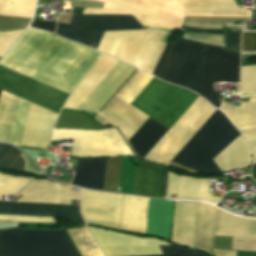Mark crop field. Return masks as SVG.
<instances>
[{
	"label": "crop field",
	"mask_w": 256,
	"mask_h": 256,
	"mask_svg": "<svg viewBox=\"0 0 256 256\" xmlns=\"http://www.w3.org/2000/svg\"><path fill=\"white\" fill-rule=\"evenodd\" d=\"M103 56L50 33L28 28L0 65L70 94Z\"/></svg>",
	"instance_id": "8a807250"
},
{
	"label": "crop field",
	"mask_w": 256,
	"mask_h": 256,
	"mask_svg": "<svg viewBox=\"0 0 256 256\" xmlns=\"http://www.w3.org/2000/svg\"><path fill=\"white\" fill-rule=\"evenodd\" d=\"M214 110L199 96L145 159L167 164ZM239 135L230 121L216 109L171 162L203 175L220 173L212 159Z\"/></svg>",
	"instance_id": "ac0d7876"
},
{
	"label": "crop field",
	"mask_w": 256,
	"mask_h": 256,
	"mask_svg": "<svg viewBox=\"0 0 256 256\" xmlns=\"http://www.w3.org/2000/svg\"><path fill=\"white\" fill-rule=\"evenodd\" d=\"M202 48V43L185 39L167 44L152 75L197 92ZM239 61V53L204 44L198 94L219 108L213 83L239 82Z\"/></svg>",
	"instance_id": "34b2d1b8"
},
{
	"label": "crop field",
	"mask_w": 256,
	"mask_h": 256,
	"mask_svg": "<svg viewBox=\"0 0 256 256\" xmlns=\"http://www.w3.org/2000/svg\"><path fill=\"white\" fill-rule=\"evenodd\" d=\"M30 181L31 178L28 177L0 173V200L2 195H16ZM71 188L66 185L35 180L20 193L23 194V197L16 202L70 204L71 200H81L83 195L82 189H80V192H77L71 190ZM0 213L59 217L63 220L84 224L78 213V207L72 205L0 201Z\"/></svg>",
	"instance_id": "412701ff"
},
{
	"label": "crop field",
	"mask_w": 256,
	"mask_h": 256,
	"mask_svg": "<svg viewBox=\"0 0 256 256\" xmlns=\"http://www.w3.org/2000/svg\"><path fill=\"white\" fill-rule=\"evenodd\" d=\"M164 33L149 30L106 32L98 50L152 73L166 43Z\"/></svg>",
	"instance_id": "f4fd0767"
},
{
	"label": "crop field",
	"mask_w": 256,
	"mask_h": 256,
	"mask_svg": "<svg viewBox=\"0 0 256 256\" xmlns=\"http://www.w3.org/2000/svg\"><path fill=\"white\" fill-rule=\"evenodd\" d=\"M0 256H79L64 231L0 232Z\"/></svg>",
	"instance_id": "dd49c442"
},
{
	"label": "crop field",
	"mask_w": 256,
	"mask_h": 256,
	"mask_svg": "<svg viewBox=\"0 0 256 256\" xmlns=\"http://www.w3.org/2000/svg\"><path fill=\"white\" fill-rule=\"evenodd\" d=\"M189 91L154 77L131 105L170 128L197 97Z\"/></svg>",
	"instance_id": "e52e79f7"
},
{
	"label": "crop field",
	"mask_w": 256,
	"mask_h": 256,
	"mask_svg": "<svg viewBox=\"0 0 256 256\" xmlns=\"http://www.w3.org/2000/svg\"><path fill=\"white\" fill-rule=\"evenodd\" d=\"M147 198L124 195L120 229L144 233L148 208ZM173 201H149L145 233L169 239Z\"/></svg>",
	"instance_id": "d8731c3e"
},
{
	"label": "crop field",
	"mask_w": 256,
	"mask_h": 256,
	"mask_svg": "<svg viewBox=\"0 0 256 256\" xmlns=\"http://www.w3.org/2000/svg\"><path fill=\"white\" fill-rule=\"evenodd\" d=\"M73 139L71 155L79 157H109L133 155L118 130L100 131L54 129L52 140Z\"/></svg>",
	"instance_id": "5a996713"
},
{
	"label": "crop field",
	"mask_w": 256,
	"mask_h": 256,
	"mask_svg": "<svg viewBox=\"0 0 256 256\" xmlns=\"http://www.w3.org/2000/svg\"><path fill=\"white\" fill-rule=\"evenodd\" d=\"M144 29L131 16L72 14L70 24L58 23L56 34L97 48L105 31Z\"/></svg>",
	"instance_id": "3316defc"
},
{
	"label": "crop field",
	"mask_w": 256,
	"mask_h": 256,
	"mask_svg": "<svg viewBox=\"0 0 256 256\" xmlns=\"http://www.w3.org/2000/svg\"><path fill=\"white\" fill-rule=\"evenodd\" d=\"M105 256H142L162 254L158 245L169 244L158 239L139 238L87 226Z\"/></svg>",
	"instance_id": "28ad6ade"
},
{
	"label": "crop field",
	"mask_w": 256,
	"mask_h": 256,
	"mask_svg": "<svg viewBox=\"0 0 256 256\" xmlns=\"http://www.w3.org/2000/svg\"><path fill=\"white\" fill-rule=\"evenodd\" d=\"M84 14H129L134 16L142 26L165 27L172 29H180L184 20L183 18L118 0H105L103 9H86ZM142 15L145 17L142 18Z\"/></svg>",
	"instance_id": "d1516ede"
},
{
	"label": "crop field",
	"mask_w": 256,
	"mask_h": 256,
	"mask_svg": "<svg viewBox=\"0 0 256 256\" xmlns=\"http://www.w3.org/2000/svg\"><path fill=\"white\" fill-rule=\"evenodd\" d=\"M20 98L11 95L2 90L0 95V142H8L13 128L15 117L20 104ZM30 102L21 100L19 111L16 117L14 128L11 134L10 142L19 145Z\"/></svg>",
	"instance_id": "22f410ed"
},
{
	"label": "crop field",
	"mask_w": 256,
	"mask_h": 256,
	"mask_svg": "<svg viewBox=\"0 0 256 256\" xmlns=\"http://www.w3.org/2000/svg\"><path fill=\"white\" fill-rule=\"evenodd\" d=\"M123 195L85 190L81 212L85 220L119 224Z\"/></svg>",
	"instance_id": "cbeb9de0"
},
{
	"label": "crop field",
	"mask_w": 256,
	"mask_h": 256,
	"mask_svg": "<svg viewBox=\"0 0 256 256\" xmlns=\"http://www.w3.org/2000/svg\"><path fill=\"white\" fill-rule=\"evenodd\" d=\"M57 115L32 103L20 146L47 149L52 125Z\"/></svg>",
	"instance_id": "5142ce71"
},
{
	"label": "crop field",
	"mask_w": 256,
	"mask_h": 256,
	"mask_svg": "<svg viewBox=\"0 0 256 256\" xmlns=\"http://www.w3.org/2000/svg\"><path fill=\"white\" fill-rule=\"evenodd\" d=\"M135 70L119 62L79 109L99 112Z\"/></svg>",
	"instance_id": "d9b57169"
},
{
	"label": "crop field",
	"mask_w": 256,
	"mask_h": 256,
	"mask_svg": "<svg viewBox=\"0 0 256 256\" xmlns=\"http://www.w3.org/2000/svg\"><path fill=\"white\" fill-rule=\"evenodd\" d=\"M184 16L249 18L233 0H179Z\"/></svg>",
	"instance_id": "733c2abd"
},
{
	"label": "crop field",
	"mask_w": 256,
	"mask_h": 256,
	"mask_svg": "<svg viewBox=\"0 0 256 256\" xmlns=\"http://www.w3.org/2000/svg\"><path fill=\"white\" fill-rule=\"evenodd\" d=\"M166 185L167 167L140 162L136 170L133 194L164 198Z\"/></svg>",
	"instance_id": "4a817a6b"
},
{
	"label": "crop field",
	"mask_w": 256,
	"mask_h": 256,
	"mask_svg": "<svg viewBox=\"0 0 256 256\" xmlns=\"http://www.w3.org/2000/svg\"><path fill=\"white\" fill-rule=\"evenodd\" d=\"M197 206L198 202L176 201L171 237L172 243L193 248Z\"/></svg>",
	"instance_id": "bc2a9ffb"
},
{
	"label": "crop field",
	"mask_w": 256,
	"mask_h": 256,
	"mask_svg": "<svg viewBox=\"0 0 256 256\" xmlns=\"http://www.w3.org/2000/svg\"><path fill=\"white\" fill-rule=\"evenodd\" d=\"M101 114L117 124L127 141L148 118L117 96Z\"/></svg>",
	"instance_id": "214f88e0"
},
{
	"label": "crop field",
	"mask_w": 256,
	"mask_h": 256,
	"mask_svg": "<svg viewBox=\"0 0 256 256\" xmlns=\"http://www.w3.org/2000/svg\"><path fill=\"white\" fill-rule=\"evenodd\" d=\"M118 62L116 59L105 55L69 95L63 107L78 109Z\"/></svg>",
	"instance_id": "92a150f3"
},
{
	"label": "crop field",
	"mask_w": 256,
	"mask_h": 256,
	"mask_svg": "<svg viewBox=\"0 0 256 256\" xmlns=\"http://www.w3.org/2000/svg\"><path fill=\"white\" fill-rule=\"evenodd\" d=\"M215 235L256 237V219L235 217L218 209Z\"/></svg>",
	"instance_id": "dafd665d"
},
{
	"label": "crop field",
	"mask_w": 256,
	"mask_h": 256,
	"mask_svg": "<svg viewBox=\"0 0 256 256\" xmlns=\"http://www.w3.org/2000/svg\"><path fill=\"white\" fill-rule=\"evenodd\" d=\"M213 160L221 171L243 168L251 164V151L240 135Z\"/></svg>",
	"instance_id": "00972430"
},
{
	"label": "crop field",
	"mask_w": 256,
	"mask_h": 256,
	"mask_svg": "<svg viewBox=\"0 0 256 256\" xmlns=\"http://www.w3.org/2000/svg\"><path fill=\"white\" fill-rule=\"evenodd\" d=\"M215 207L199 202L194 248L212 256Z\"/></svg>",
	"instance_id": "a9b5d70f"
},
{
	"label": "crop field",
	"mask_w": 256,
	"mask_h": 256,
	"mask_svg": "<svg viewBox=\"0 0 256 256\" xmlns=\"http://www.w3.org/2000/svg\"><path fill=\"white\" fill-rule=\"evenodd\" d=\"M167 130V128L148 118L128 142L137 155L144 158Z\"/></svg>",
	"instance_id": "4177f3b9"
},
{
	"label": "crop field",
	"mask_w": 256,
	"mask_h": 256,
	"mask_svg": "<svg viewBox=\"0 0 256 256\" xmlns=\"http://www.w3.org/2000/svg\"><path fill=\"white\" fill-rule=\"evenodd\" d=\"M106 160H79L71 184L102 190Z\"/></svg>",
	"instance_id": "730fd06b"
},
{
	"label": "crop field",
	"mask_w": 256,
	"mask_h": 256,
	"mask_svg": "<svg viewBox=\"0 0 256 256\" xmlns=\"http://www.w3.org/2000/svg\"><path fill=\"white\" fill-rule=\"evenodd\" d=\"M221 111L236 127L256 125V103L241 102V107H235L223 102Z\"/></svg>",
	"instance_id": "eef30255"
},
{
	"label": "crop field",
	"mask_w": 256,
	"mask_h": 256,
	"mask_svg": "<svg viewBox=\"0 0 256 256\" xmlns=\"http://www.w3.org/2000/svg\"><path fill=\"white\" fill-rule=\"evenodd\" d=\"M184 26H192V27H203V28H216V29H223L224 23H201L197 21L187 20L185 19L183 22ZM182 29H186L188 32L194 33H204V34H223V30H216V29H202V28H191V27H184ZM185 32L184 34L190 35L189 38L192 39H199V40H206V41H213V42H224L223 35H204V34H194Z\"/></svg>",
	"instance_id": "ae1a2a85"
},
{
	"label": "crop field",
	"mask_w": 256,
	"mask_h": 256,
	"mask_svg": "<svg viewBox=\"0 0 256 256\" xmlns=\"http://www.w3.org/2000/svg\"><path fill=\"white\" fill-rule=\"evenodd\" d=\"M81 256H103L87 228L67 230Z\"/></svg>",
	"instance_id": "d3111659"
},
{
	"label": "crop field",
	"mask_w": 256,
	"mask_h": 256,
	"mask_svg": "<svg viewBox=\"0 0 256 256\" xmlns=\"http://www.w3.org/2000/svg\"><path fill=\"white\" fill-rule=\"evenodd\" d=\"M35 3L36 0H0V14L31 18Z\"/></svg>",
	"instance_id": "750c4746"
},
{
	"label": "crop field",
	"mask_w": 256,
	"mask_h": 256,
	"mask_svg": "<svg viewBox=\"0 0 256 256\" xmlns=\"http://www.w3.org/2000/svg\"><path fill=\"white\" fill-rule=\"evenodd\" d=\"M146 73L138 71L117 96L124 99L128 103H131L153 78V76Z\"/></svg>",
	"instance_id": "bd1437ed"
},
{
	"label": "crop field",
	"mask_w": 256,
	"mask_h": 256,
	"mask_svg": "<svg viewBox=\"0 0 256 256\" xmlns=\"http://www.w3.org/2000/svg\"><path fill=\"white\" fill-rule=\"evenodd\" d=\"M25 161L12 146L0 144V167L7 170L23 171Z\"/></svg>",
	"instance_id": "1d83c4d3"
},
{
	"label": "crop field",
	"mask_w": 256,
	"mask_h": 256,
	"mask_svg": "<svg viewBox=\"0 0 256 256\" xmlns=\"http://www.w3.org/2000/svg\"><path fill=\"white\" fill-rule=\"evenodd\" d=\"M179 17H183L178 0H123ZM184 18V17H183Z\"/></svg>",
	"instance_id": "120bbe31"
},
{
	"label": "crop field",
	"mask_w": 256,
	"mask_h": 256,
	"mask_svg": "<svg viewBox=\"0 0 256 256\" xmlns=\"http://www.w3.org/2000/svg\"><path fill=\"white\" fill-rule=\"evenodd\" d=\"M120 162L121 158L107 159L103 190L117 192Z\"/></svg>",
	"instance_id": "d32e631a"
},
{
	"label": "crop field",
	"mask_w": 256,
	"mask_h": 256,
	"mask_svg": "<svg viewBox=\"0 0 256 256\" xmlns=\"http://www.w3.org/2000/svg\"><path fill=\"white\" fill-rule=\"evenodd\" d=\"M241 89L244 94L256 93V65L241 67Z\"/></svg>",
	"instance_id": "5866460e"
},
{
	"label": "crop field",
	"mask_w": 256,
	"mask_h": 256,
	"mask_svg": "<svg viewBox=\"0 0 256 256\" xmlns=\"http://www.w3.org/2000/svg\"><path fill=\"white\" fill-rule=\"evenodd\" d=\"M209 182L207 178H195L192 199H203L216 204L219 197L212 196V192H208Z\"/></svg>",
	"instance_id": "028f5c9d"
},
{
	"label": "crop field",
	"mask_w": 256,
	"mask_h": 256,
	"mask_svg": "<svg viewBox=\"0 0 256 256\" xmlns=\"http://www.w3.org/2000/svg\"><path fill=\"white\" fill-rule=\"evenodd\" d=\"M194 178L180 175L177 198L191 199L193 191Z\"/></svg>",
	"instance_id": "e1f06a70"
},
{
	"label": "crop field",
	"mask_w": 256,
	"mask_h": 256,
	"mask_svg": "<svg viewBox=\"0 0 256 256\" xmlns=\"http://www.w3.org/2000/svg\"><path fill=\"white\" fill-rule=\"evenodd\" d=\"M164 255L156 256H205L199 252L190 251L185 248H178L173 245L160 246Z\"/></svg>",
	"instance_id": "0bd39190"
},
{
	"label": "crop field",
	"mask_w": 256,
	"mask_h": 256,
	"mask_svg": "<svg viewBox=\"0 0 256 256\" xmlns=\"http://www.w3.org/2000/svg\"><path fill=\"white\" fill-rule=\"evenodd\" d=\"M231 249L243 251H256V238L233 237Z\"/></svg>",
	"instance_id": "b80d0937"
},
{
	"label": "crop field",
	"mask_w": 256,
	"mask_h": 256,
	"mask_svg": "<svg viewBox=\"0 0 256 256\" xmlns=\"http://www.w3.org/2000/svg\"><path fill=\"white\" fill-rule=\"evenodd\" d=\"M22 31L23 30L0 33V56L5 53L7 48Z\"/></svg>",
	"instance_id": "c035e120"
},
{
	"label": "crop field",
	"mask_w": 256,
	"mask_h": 256,
	"mask_svg": "<svg viewBox=\"0 0 256 256\" xmlns=\"http://www.w3.org/2000/svg\"><path fill=\"white\" fill-rule=\"evenodd\" d=\"M0 220H14V221H25V222L55 223L54 219H52V218L24 217V216H13V215H2V214H0Z\"/></svg>",
	"instance_id": "c21b1889"
},
{
	"label": "crop field",
	"mask_w": 256,
	"mask_h": 256,
	"mask_svg": "<svg viewBox=\"0 0 256 256\" xmlns=\"http://www.w3.org/2000/svg\"><path fill=\"white\" fill-rule=\"evenodd\" d=\"M242 50H256V33L242 34Z\"/></svg>",
	"instance_id": "03da06ac"
},
{
	"label": "crop field",
	"mask_w": 256,
	"mask_h": 256,
	"mask_svg": "<svg viewBox=\"0 0 256 256\" xmlns=\"http://www.w3.org/2000/svg\"><path fill=\"white\" fill-rule=\"evenodd\" d=\"M226 46L240 51V33H226Z\"/></svg>",
	"instance_id": "b54c1fbb"
},
{
	"label": "crop field",
	"mask_w": 256,
	"mask_h": 256,
	"mask_svg": "<svg viewBox=\"0 0 256 256\" xmlns=\"http://www.w3.org/2000/svg\"><path fill=\"white\" fill-rule=\"evenodd\" d=\"M178 178H179L178 174L169 172V185H168L167 198H171V194H176Z\"/></svg>",
	"instance_id": "5d738f31"
},
{
	"label": "crop field",
	"mask_w": 256,
	"mask_h": 256,
	"mask_svg": "<svg viewBox=\"0 0 256 256\" xmlns=\"http://www.w3.org/2000/svg\"><path fill=\"white\" fill-rule=\"evenodd\" d=\"M55 24H56V22L34 20L31 24V26L39 28V29L54 32Z\"/></svg>",
	"instance_id": "d23c7cc5"
},
{
	"label": "crop field",
	"mask_w": 256,
	"mask_h": 256,
	"mask_svg": "<svg viewBox=\"0 0 256 256\" xmlns=\"http://www.w3.org/2000/svg\"><path fill=\"white\" fill-rule=\"evenodd\" d=\"M21 156L26 161L25 164V170H29L35 173L43 174L42 171L39 169V167L36 165L34 161H32L30 158H28L26 155L21 154Z\"/></svg>",
	"instance_id": "425ffa30"
},
{
	"label": "crop field",
	"mask_w": 256,
	"mask_h": 256,
	"mask_svg": "<svg viewBox=\"0 0 256 256\" xmlns=\"http://www.w3.org/2000/svg\"><path fill=\"white\" fill-rule=\"evenodd\" d=\"M238 130L244 135L245 139L256 137V126L240 127Z\"/></svg>",
	"instance_id": "25e5ab78"
},
{
	"label": "crop field",
	"mask_w": 256,
	"mask_h": 256,
	"mask_svg": "<svg viewBox=\"0 0 256 256\" xmlns=\"http://www.w3.org/2000/svg\"><path fill=\"white\" fill-rule=\"evenodd\" d=\"M86 223L89 224V225H93V226L116 229V230L119 231V225H115V224L98 223V222H90V221H86Z\"/></svg>",
	"instance_id": "73cf0c24"
},
{
	"label": "crop field",
	"mask_w": 256,
	"mask_h": 256,
	"mask_svg": "<svg viewBox=\"0 0 256 256\" xmlns=\"http://www.w3.org/2000/svg\"><path fill=\"white\" fill-rule=\"evenodd\" d=\"M216 256H236V251L214 250Z\"/></svg>",
	"instance_id": "89e229c0"
},
{
	"label": "crop field",
	"mask_w": 256,
	"mask_h": 256,
	"mask_svg": "<svg viewBox=\"0 0 256 256\" xmlns=\"http://www.w3.org/2000/svg\"><path fill=\"white\" fill-rule=\"evenodd\" d=\"M247 143L249 144V146L251 147L252 151H253V155H254V160L253 163L256 162V138L255 139H249L246 140Z\"/></svg>",
	"instance_id": "1f2cbd36"
},
{
	"label": "crop field",
	"mask_w": 256,
	"mask_h": 256,
	"mask_svg": "<svg viewBox=\"0 0 256 256\" xmlns=\"http://www.w3.org/2000/svg\"><path fill=\"white\" fill-rule=\"evenodd\" d=\"M98 115V114H97ZM95 118V120H98V121H100L104 126L105 125H107V124H112V123H110L109 121H107V120H105L104 118H102L101 116H96V117H94ZM113 125V124H112ZM113 127H116L115 125H113Z\"/></svg>",
	"instance_id": "dbb93151"
},
{
	"label": "crop field",
	"mask_w": 256,
	"mask_h": 256,
	"mask_svg": "<svg viewBox=\"0 0 256 256\" xmlns=\"http://www.w3.org/2000/svg\"><path fill=\"white\" fill-rule=\"evenodd\" d=\"M252 177L254 178V180H256V164L253 165Z\"/></svg>",
	"instance_id": "0fb4a251"
},
{
	"label": "crop field",
	"mask_w": 256,
	"mask_h": 256,
	"mask_svg": "<svg viewBox=\"0 0 256 256\" xmlns=\"http://www.w3.org/2000/svg\"><path fill=\"white\" fill-rule=\"evenodd\" d=\"M92 1H100V2H104V0H92Z\"/></svg>",
	"instance_id": "1d79db26"
},
{
	"label": "crop field",
	"mask_w": 256,
	"mask_h": 256,
	"mask_svg": "<svg viewBox=\"0 0 256 256\" xmlns=\"http://www.w3.org/2000/svg\"><path fill=\"white\" fill-rule=\"evenodd\" d=\"M1 91V90H0ZM2 92V91H1Z\"/></svg>",
	"instance_id": "9d1cf04e"
}]
</instances>
